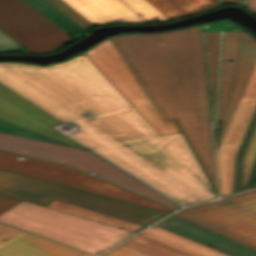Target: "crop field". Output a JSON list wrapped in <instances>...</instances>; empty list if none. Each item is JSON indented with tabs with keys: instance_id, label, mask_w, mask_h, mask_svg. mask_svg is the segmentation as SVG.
<instances>
[{
	"instance_id": "18",
	"label": "crop field",
	"mask_w": 256,
	"mask_h": 256,
	"mask_svg": "<svg viewBox=\"0 0 256 256\" xmlns=\"http://www.w3.org/2000/svg\"><path fill=\"white\" fill-rule=\"evenodd\" d=\"M140 234L194 256H228L223 253L217 252L218 250L215 251L205 245L171 233L155 225L149 227Z\"/></svg>"
},
{
	"instance_id": "10",
	"label": "crop field",
	"mask_w": 256,
	"mask_h": 256,
	"mask_svg": "<svg viewBox=\"0 0 256 256\" xmlns=\"http://www.w3.org/2000/svg\"><path fill=\"white\" fill-rule=\"evenodd\" d=\"M226 60L232 62L226 63ZM256 61V38L242 32L223 35L221 86L218 121H223L218 138L220 143L242 90Z\"/></svg>"
},
{
	"instance_id": "21",
	"label": "crop field",
	"mask_w": 256,
	"mask_h": 256,
	"mask_svg": "<svg viewBox=\"0 0 256 256\" xmlns=\"http://www.w3.org/2000/svg\"><path fill=\"white\" fill-rule=\"evenodd\" d=\"M163 173L175 180L202 201L217 197L186 167L163 171Z\"/></svg>"
},
{
	"instance_id": "4",
	"label": "crop field",
	"mask_w": 256,
	"mask_h": 256,
	"mask_svg": "<svg viewBox=\"0 0 256 256\" xmlns=\"http://www.w3.org/2000/svg\"><path fill=\"white\" fill-rule=\"evenodd\" d=\"M0 194L43 206L55 198L145 226L167 214L1 169Z\"/></svg>"
},
{
	"instance_id": "16",
	"label": "crop field",
	"mask_w": 256,
	"mask_h": 256,
	"mask_svg": "<svg viewBox=\"0 0 256 256\" xmlns=\"http://www.w3.org/2000/svg\"><path fill=\"white\" fill-rule=\"evenodd\" d=\"M256 186V111L236 154L233 193Z\"/></svg>"
},
{
	"instance_id": "30",
	"label": "crop field",
	"mask_w": 256,
	"mask_h": 256,
	"mask_svg": "<svg viewBox=\"0 0 256 256\" xmlns=\"http://www.w3.org/2000/svg\"><path fill=\"white\" fill-rule=\"evenodd\" d=\"M246 6L256 14V0H248Z\"/></svg>"
},
{
	"instance_id": "15",
	"label": "crop field",
	"mask_w": 256,
	"mask_h": 256,
	"mask_svg": "<svg viewBox=\"0 0 256 256\" xmlns=\"http://www.w3.org/2000/svg\"><path fill=\"white\" fill-rule=\"evenodd\" d=\"M94 25L113 24V20L124 23H143L134 12L119 0H63Z\"/></svg>"
},
{
	"instance_id": "8",
	"label": "crop field",
	"mask_w": 256,
	"mask_h": 256,
	"mask_svg": "<svg viewBox=\"0 0 256 256\" xmlns=\"http://www.w3.org/2000/svg\"><path fill=\"white\" fill-rule=\"evenodd\" d=\"M84 54L160 135L180 132L175 120H164L110 38Z\"/></svg>"
},
{
	"instance_id": "13",
	"label": "crop field",
	"mask_w": 256,
	"mask_h": 256,
	"mask_svg": "<svg viewBox=\"0 0 256 256\" xmlns=\"http://www.w3.org/2000/svg\"><path fill=\"white\" fill-rule=\"evenodd\" d=\"M0 256H93L0 223Z\"/></svg>"
},
{
	"instance_id": "11",
	"label": "crop field",
	"mask_w": 256,
	"mask_h": 256,
	"mask_svg": "<svg viewBox=\"0 0 256 256\" xmlns=\"http://www.w3.org/2000/svg\"><path fill=\"white\" fill-rule=\"evenodd\" d=\"M256 108V63L216 151L220 195L232 193L235 154Z\"/></svg>"
},
{
	"instance_id": "7",
	"label": "crop field",
	"mask_w": 256,
	"mask_h": 256,
	"mask_svg": "<svg viewBox=\"0 0 256 256\" xmlns=\"http://www.w3.org/2000/svg\"><path fill=\"white\" fill-rule=\"evenodd\" d=\"M0 168L150 208L174 210L73 168L20 155L0 151Z\"/></svg>"
},
{
	"instance_id": "23",
	"label": "crop field",
	"mask_w": 256,
	"mask_h": 256,
	"mask_svg": "<svg viewBox=\"0 0 256 256\" xmlns=\"http://www.w3.org/2000/svg\"><path fill=\"white\" fill-rule=\"evenodd\" d=\"M135 11H137L147 21L158 19L160 21H168L161 13L152 7L145 0H123Z\"/></svg>"
},
{
	"instance_id": "17",
	"label": "crop field",
	"mask_w": 256,
	"mask_h": 256,
	"mask_svg": "<svg viewBox=\"0 0 256 256\" xmlns=\"http://www.w3.org/2000/svg\"><path fill=\"white\" fill-rule=\"evenodd\" d=\"M118 142L158 171L184 167L151 136Z\"/></svg>"
},
{
	"instance_id": "31",
	"label": "crop field",
	"mask_w": 256,
	"mask_h": 256,
	"mask_svg": "<svg viewBox=\"0 0 256 256\" xmlns=\"http://www.w3.org/2000/svg\"><path fill=\"white\" fill-rule=\"evenodd\" d=\"M81 116H83V117L89 119V118L95 116V114L92 113V112H86V113L82 114Z\"/></svg>"
},
{
	"instance_id": "9",
	"label": "crop field",
	"mask_w": 256,
	"mask_h": 256,
	"mask_svg": "<svg viewBox=\"0 0 256 256\" xmlns=\"http://www.w3.org/2000/svg\"><path fill=\"white\" fill-rule=\"evenodd\" d=\"M24 1L0 0V29L29 52L53 51L75 40Z\"/></svg>"
},
{
	"instance_id": "26",
	"label": "crop field",
	"mask_w": 256,
	"mask_h": 256,
	"mask_svg": "<svg viewBox=\"0 0 256 256\" xmlns=\"http://www.w3.org/2000/svg\"><path fill=\"white\" fill-rule=\"evenodd\" d=\"M100 256H152V255L146 254L144 252H141L139 250H136L134 248L121 244L101 254Z\"/></svg>"
},
{
	"instance_id": "14",
	"label": "crop field",
	"mask_w": 256,
	"mask_h": 256,
	"mask_svg": "<svg viewBox=\"0 0 256 256\" xmlns=\"http://www.w3.org/2000/svg\"><path fill=\"white\" fill-rule=\"evenodd\" d=\"M155 225L202 244L215 246L220 252L231 256H256V251L174 215L156 223Z\"/></svg>"
},
{
	"instance_id": "27",
	"label": "crop field",
	"mask_w": 256,
	"mask_h": 256,
	"mask_svg": "<svg viewBox=\"0 0 256 256\" xmlns=\"http://www.w3.org/2000/svg\"><path fill=\"white\" fill-rule=\"evenodd\" d=\"M22 46L7 36L0 30V50H7V52L17 51Z\"/></svg>"
},
{
	"instance_id": "19",
	"label": "crop field",
	"mask_w": 256,
	"mask_h": 256,
	"mask_svg": "<svg viewBox=\"0 0 256 256\" xmlns=\"http://www.w3.org/2000/svg\"><path fill=\"white\" fill-rule=\"evenodd\" d=\"M169 20L218 7L216 0H146ZM208 5L209 8L204 6Z\"/></svg>"
},
{
	"instance_id": "1",
	"label": "crop field",
	"mask_w": 256,
	"mask_h": 256,
	"mask_svg": "<svg viewBox=\"0 0 256 256\" xmlns=\"http://www.w3.org/2000/svg\"><path fill=\"white\" fill-rule=\"evenodd\" d=\"M0 82L65 123L62 131L176 202L186 205L200 200L143 162L117 140L148 136L142 126L212 190L182 133L160 136L84 54L49 66L0 63ZM86 111L97 116L86 120L79 115Z\"/></svg>"
},
{
	"instance_id": "29",
	"label": "crop field",
	"mask_w": 256,
	"mask_h": 256,
	"mask_svg": "<svg viewBox=\"0 0 256 256\" xmlns=\"http://www.w3.org/2000/svg\"><path fill=\"white\" fill-rule=\"evenodd\" d=\"M65 124L61 123L59 125L53 126L55 129L59 130L60 132H62L59 128L63 127ZM63 134H65L66 136L70 137L71 139H73L74 141H76L77 143H79L80 145L84 146L85 148L89 149V147H87L86 145L82 144L81 142L77 141L76 139L72 138L71 136L67 135L66 133L62 132Z\"/></svg>"
},
{
	"instance_id": "28",
	"label": "crop field",
	"mask_w": 256,
	"mask_h": 256,
	"mask_svg": "<svg viewBox=\"0 0 256 256\" xmlns=\"http://www.w3.org/2000/svg\"><path fill=\"white\" fill-rule=\"evenodd\" d=\"M21 200L13 199L10 197H6L0 195V213L4 212L5 210L9 209L10 207L14 206Z\"/></svg>"
},
{
	"instance_id": "20",
	"label": "crop field",
	"mask_w": 256,
	"mask_h": 256,
	"mask_svg": "<svg viewBox=\"0 0 256 256\" xmlns=\"http://www.w3.org/2000/svg\"><path fill=\"white\" fill-rule=\"evenodd\" d=\"M47 207L54 208L60 211H64L70 214L78 215L81 217L89 218L98 222H102L111 226L119 227L130 231H138L145 226L138 225L132 222H128L122 219H118L112 216H108L102 213H98L92 210H88L82 207H78L72 204H68L62 201L53 199Z\"/></svg>"
},
{
	"instance_id": "5",
	"label": "crop field",
	"mask_w": 256,
	"mask_h": 256,
	"mask_svg": "<svg viewBox=\"0 0 256 256\" xmlns=\"http://www.w3.org/2000/svg\"><path fill=\"white\" fill-rule=\"evenodd\" d=\"M0 150L71 165L166 204L179 208L89 150L0 133Z\"/></svg>"
},
{
	"instance_id": "6",
	"label": "crop field",
	"mask_w": 256,
	"mask_h": 256,
	"mask_svg": "<svg viewBox=\"0 0 256 256\" xmlns=\"http://www.w3.org/2000/svg\"><path fill=\"white\" fill-rule=\"evenodd\" d=\"M174 215L256 250V189Z\"/></svg>"
},
{
	"instance_id": "24",
	"label": "crop field",
	"mask_w": 256,
	"mask_h": 256,
	"mask_svg": "<svg viewBox=\"0 0 256 256\" xmlns=\"http://www.w3.org/2000/svg\"><path fill=\"white\" fill-rule=\"evenodd\" d=\"M0 132L40 139V140H45V141H50L55 143H61L59 141L53 140L51 138L45 137L43 135L37 134L35 132L29 131L27 129L5 122L3 120H0ZM61 144H64V143H61Z\"/></svg>"
},
{
	"instance_id": "3",
	"label": "crop field",
	"mask_w": 256,
	"mask_h": 256,
	"mask_svg": "<svg viewBox=\"0 0 256 256\" xmlns=\"http://www.w3.org/2000/svg\"><path fill=\"white\" fill-rule=\"evenodd\" d=\"M0 222L93 255L133 233L24 201L0 214Z\"/></svg>"
},
{
	"instance_id": "22",
	"label": "crop field",
	"mask_w": 256,
	"mask_h": 256,
	"mask_svg": "<svg viewBox=\"0 0 256 256\" xmlns=\"http://www.w3.org/2000/svg\"><path fill=\"white\" fill-rule=\"evenodd\" d=\"M124 244L154 256H191L140 234L126 240Z\"/></svg>"
},
{
	"instance_id": "2",
	"label": "crop field",
	"mask_w": 256,
	"mask_h": 256,
	"mask_svg": "<svg viewBox=\"0 0 256 256\" xmlns=\"http://www.w3.org/2000/svg\"><path fill=\"white\" fill-rule=\"evenodd\" d=\"M165 120L177 119L217 192L210 118L215 119L220 31L200 25L111 38Z\"/></svg>"
},
{
	"instance_id": "32",
	"label": "crop field",
	"mask_w": 256,
	"mask_h": 256,
	"mask_svg": "<svg viewBox=\"0 0 256 256\" xmlns=\"http://www.w3.org/2000/svg\"><path fill=\"white\" fill-rule=\"evenodd\" d=\"M225 3H237L238 0H224Z\"/></svg>"
},
{
	"instance_id": "33",
	"label": "crop field",
	"mask_w": 256,
	"mask_h": 256,
	"mask_svg": "<svg viewBox=\"0 0 256 256\" xmlns=\"http://www.w3.org/2000/svg\"><path fill=\"white\" fill-rule=\"evenodd\" d=\"M217 1H218V4H219V5L224 3L223 0H217Z\"/></svg>"
},
{
	"instance_id": "25",
	"label": "crop field",
	"mask_w": 256,
	"mask_h": 256,
	"mask_svg": "<svg viewBox=\"0 0 256 256\" xmlns=\"http://www.w3.org/2000/svg\"><path fill=\"white\" fill-rule=\"evenodd\" d=\"M46 1H48L51 5H53L55 8H57L59 11H61L63 14H65L67 17H69L71 20H73L82 28H90L94 26L62 0H46Z\"/></svg>"
},
{
	"instance_id": "12",
	"label": "crop field",
	"mask_w": 256,
	"mask_h": 256,
	"mask_svg": "<svg viewBox=\"0 0 256 256\" xmlns=\"http://www.w3.org/2000/svg\"><path fill=\"white\" fill-rule=\"evenodd\" d=\"M0 119L70 144L81 147L51 126L61 123L39 107L0 83Z\"/></svg>"
}]
</instances>
